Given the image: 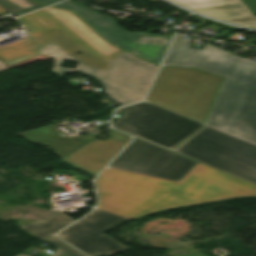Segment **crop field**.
<instances>
[{"label":"crop field","mask_w":256,"mask_h":256,"mask_svg":"<svg viewBox=\"0 0 256 256\" xmlns=\"http://www.w3.org/2000/svg\"><path fill=\"white\" fill-rule=\"evenodd\" d=\"M128 220L97 209L58 236L89 256L119 253L128 248L116 243L105 233Z\"/></svg>","instance_id":"crop-field-9"},{"label":"crop field","mask_w":256,"mask_h":256,"mask_svg":"<svg viewBox=\"0 0 256 256\" xmlns=\"http://www.w3.org/2000/svg\"><path fill=\"white\" fill-rule=\"evenodd\" d=\"M81 5L68 0L53 7L75 12L112 44L159 65L172 37L127 33L114 20Z\"/></svg>","instance_id":"crop-field-7"},{"label":"crop field","mask_w":256,"mask_h":256,"mask_svg":"<svg viewBox=\"0 0 256 256\" xmlns=\"http://www.w3.org/2000/svg\"><path fill=\"white\" fill-rule=\"evenodd\" d=\"M196 163L169 150L135 138L109 166L177 181Z\"/></svg>","instance_id":"crop-field-8"},{"label":"crop field","mask_w":256,"mask_h":256,"mask_svg":"<svg viewBox=\"0 0 256 256\" xmlns=\"http://www.w3.org/2000/svg\"><path fill=\"white\" fill-rule=\"evenodd\" d=\"M35 1L51 5V4L57 3V2L62 1V0H35Z\"/></svg>","instance_id":"crop-field-18"},{"label":"crop field","mask_w":256,"mask_h":256,"mask_svg":"<svg viewBox=\"0 0 256 256\" xmlns=\"http://www.w3.org/2000/svg\"><path fill=\"white\" fill-rule=\"evenodd\" d=\"M96 186L99 209L133 221L179 208L256 198V185L201 163L180 182L107 168Z\"/></svg>","instance_id":"crop-field-2"},{"label":"crop field","mask_w":256,"mask_h":256,"mask_svg":"<svg viewBox=\"0 0 256 256\" xmlns=\"http://www.w3.org/2000/svg\"><path fill=\"white\" fill-rule=\"evenodd\" d=\"M147 1H149L151 3H154V2H157V1H160V0H147Z\"/></svg>","instance_id":"crop-field-20"},{"label":"crop field","mask_w":256,"mask_h":256,"mask_svg":"<svg viewBox=\"0 0 256 256\" xmlns=\"http://www.w3.org/2000/svg\"><path fill=\"white\" fill-rule=\"evenodd\" d=\"M222 79L195 69L162 68L146 101L203 123Z\"/></svg>","instance_id":"crop-field-4"},{"label":"crop field","mask_w":256,"mask_h":256,"mask_svg":"<svg viewBox=\"0 0 256 256\" xmlns=\"http://www.w3.org/2000/svg\"><path fill=\"white\" fill-rule=\"evenodd\" d=\"M44 6L32 0H0V14L10 11L18 16Z\"/></svg>","instance_id":"crop-field-15"},{"label":"crop field","mask_w":256,"mask_h":256,"mask_svg":"<svg viewBox=\"0 0 256 256\" xmlns=\"http://www.w3.org/2000/svg\"><path fill=\"white\" fill-rule=\"evenodd\" d=\"M190 42L175 39L162 66L194 68L201 50L189 48Z\"/></svg>","instance_id":"crop-field-13"},{"label":"crop field","mask_w":256,"mask_h":256,"mask_svg":"<svg viewBox=\"0 0 256 256\" xmlns=\"http://www.w3.org/2000/svg\"><path fill=\"white\" fill-rule=\"evenodd\" d=\"M204 15L256 28V17L241 0H171Z\"/></svg>","instance_id":"crop-field-11"},{"label":"crop field","mask_w":256,"mask_h":256,"mask_svg":"<svg viewBox=\"0 0 256 256\" xmlns=\"http://www.w3.org/2000/svg\"><path fill=\"white\" fill-rule=\"evenodd\" d=\"M45 242L51 244L53 247H55L57 249L55 251V253L52 254L51 256H85L84 254L80 253L79 251L72 248L68 244H66L54 237ZM18 256H26V255L21 254Z\"/></svg>","instance_id":"crop-field-16"},{"label":"crop field","mask_w":256,"mask_h":256,"mask_svg":"<svg viewBox=\"0 0 256 256\" xmlns=\"http://www.w3.org/2000/svg\"><path fill=\"white\" fill-rule=\"evenodd\" d=\"M174 151L256 184V146L205 126Z\"/></svg>","instance_id":"crop-field-5"},{"label":"crop field","mask_w":256,"mask_h":256,"mask_svg":"<svg viewBox=\"0 0 256 256\" xmlns=\"http://www.w3.org/2000/svg\"><path fill=\"white\" fill-rule=\"evenodd\" d=\"M196 69L225 78L206 125L256 145V63L205 44Z\"/></svg>","instance_id":"crop-field-3"},{"label":"crop field","mask_w":256,"mask_h":256,"mask_svg":"<svg viewBox=\"0 0 256 256\" xmlns=\"http://www.w3.org/2000/svg\"><path fill=\"white\" fill-rule=\"evenodd\" d=\"M109 139L97 140L76 151L62 161L95 177L100 170L127 144L130 136L115 130L111 131Z\"/></svg>","instance_id":"crop-field-10"},{"label":"crop field","mask_w":256,"mask_h":256,"mask_svg":"<svg viewBox=\"0 0 256 256\" xmlns=\"http://www.w3.org/2000/svg\"><path fill=\"white\" fill-rule=\"evenodd\" d=\"M5 70H8V67L3 62L0 61V72Z\"/></svg>","instance_id":"crop-field-19"},{"label":"crop field","mask_w":256,"mask_h":256,"mask_svg":"<svg viewBox=\"0 0 256 256\" xmlns=\"http://www.w3.org/2000/svg\"><path fill=\"white\" fill-rule=\"evenodd\" d=\"M73 221L75 220L61 214L30 225L22 226V228L42 240Z\"/></svg>","instance_id":"crop-field-14"},{"label":"crop field","mask_w":256,"mask_h":256,"mask_svg":"<svg viewBox=\"0 0 256 256\" xmlns=\"http://www.w3.org/2000/svg\"><path fill=\"white\" fill-rule=\"evenodd\" d=\"M155 106L141 102L118 109L115 114L128 112L114 121L112 126L172 149L203 125Z\"/></svg>","instance_id":"crop-field-6"},{"label":"crop field","mask_w":256,"mask_h":256,"mask_svg":"<svg viewBox=\"0 0 256 256\" xmlns=\"http://www.w3.org/2000/svg\"><path fill=\"white\" fill-rule=\"evenodd\" d=\"M249 10L256 16V0H242Z\"/></svg>","instance_id":"crop-field-17"},{"label":"crop field","mask_w":256,"mask_h":256,"mask_svg":"<svg viewBox=\"0 0 256 256\" xmlns=\"http://www.w3.org/2000/svg\"><path fill=\"white\" fill-rule=\"evenodd\" d=\"M55 130L52 125H50L17 135L32 143H37L53 148L57 151L56 155L62 158L94 141L84 136L61 137Z\"/></svg>","instance_id":"crop-field-12"},{"label":"crop field","mask_w":256,"mask_h":256,"mask_svg":"<svg viewBox=\"0 0 256 256\" xmlns=\"http://www.w3.org/2000/svg\"><path fill=\"white\" fill-rule=\"evenodd\" d=\"M18 21L30 32L0 48V60L7 66L43 54L55 58L52 72L60 79L71 72L93 77L121 105L144 99L158 67L111 46L74 14L48 7ZM65 60L79 64L76 69L61 68Z\"/></svg>","instance_id":"crop-field-1"}]
</instances>
